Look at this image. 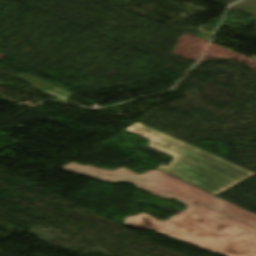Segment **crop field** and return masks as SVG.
Listing matches in <instances>:
<instances>
[{
  "label": "crop field",
  "instance_id": "crop-field-1",
  "mask_svg": "<svg viewBox=\"0 0 256 256\" xmlns=\"http://www.w3.org/2000/svg\"><path fill=\"white\" fill-rule=\"evenodd\" d=\"M64 170L112 182L133 183L162 199H175L187 210L166 222L146 214L127 217L126 225L155 231L227 256H256V215L160 170L137 175L125 168L104 171L75 163Z\"/></svg>",
  "mask_w": 256,
  "mask_h": 256
},
{
  "label": "crop field",
  "instance_id": "crop-field-2",
  "mask_svg": "<svg viewBox=\"0 0 256 256\" xmlns=\"http://www.w3.org/2000/svg\"><path fill=\"white\" fill-rule=\"evenodd\" d=\"M125 129L150 140L149 147L174 157L168 167L157 169L215 196L255 174L140 123Z\"/></svg>",
  "mask_w": 256,
  "mask_h": 256
}]
</instances>
